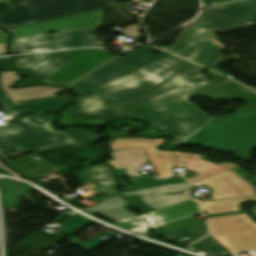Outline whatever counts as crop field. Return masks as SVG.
Instances as JSON below:
<instances>
[{
  "label": "crop field",
  "mask_w": 256,
  "mask_h": 256,
  "mask_svg": "<svg viewBox=\"0 0 256 256\" xmlns=\"http://www.w3.org/2000/svg\"><path fill=\"white\" fill-rule=\"evenodd\" d=\"M189 184L191 188H210L214 192L209 193L213 200L256 195V177L248 175L241 168Z\"/></svg>",
  "instance_id": "11"
},
{
  "label": "crop field",
  "mask_w": 256,
  "mask_h": 256,
  "mask_svg": "<svg viewBox=\"0 0 256 256\" xmlns=\"http://www.w3.org/2000/svg\"><path fill=\"white\" fill-rule=\"evenodd\" d=\"M176 256H187V255L177 253Z\"/></svg>",
  "instance_id": "42"
},
{
  "label": "crop field",
  "mask_w": 256,
  "mask_h": 256,
  "mask_svg": "<svg viewBox=\"0 0 256 256\" xmlns=\"http://www.w3.org/2000/svg\"><path fill=\"white\" fill-rule=\"evenodd\" d=\"M82 185L96 183L93 180L101 182L106 193L111 194L117 192L114 188L117 186L112 173L105 164L92 166L72 173Z\"/></svg>",
  "instance_id": "20"
},
{
  "label": "crop field",
  "mask_w": 256,
  "mask_h": 256,
  "mask_svg": "<svg viewBox=\"0 0 256 256\" xmlns=\"http://www.w3.org/2000/svg\"><path fill=\"white\" fill-rule=\"evenodd\" d=\"M72 102V99L27 104L15 106L14 103L2 105L7 115H19L27 113L59 112L63 106Z\"/></svg>",
  "instance_id": "21"
},
{
  "label": "crop field",
  "mask_w": 256,
  "mask_h": 256,
  "mask_svg": "<svg viewBox=\"0 0 256 256\" xmlns=\"http://www.w3.org/2000/svg\"><path fill=\"white\" fill-rule=\"evenodd\" d=\"M201 67L171 55L78 98L68 115L108 121L126 117L132 106L156 101L226 78L209 71L212 81L191 79Z\"/></svg>",
  "instance_id": "1"
},
{
  "label": "crop field",
  "mask_w": 256,
  "mask_h": 256,
  "mask_svg": "<svg viewBox=\"0 0 256 256\" xmlns=\"http://www.w3.org/2000/svg\"><path fill=\"white\" fill-rule=\"evenodd\" d=\"M244 201H256V196L221 201H210L201 204L204 211H207L208 214H212L239 210L241 203Z\"/></svg>",
  "instance_id": "23"
},
{
  "label": "crop field",
  "mask_w": 256,
  "mask_h": 256,
  "mask_svg": "<svg viewBox=\"0 0 256 256\" xmlns=\"http://www.w3.org/2000/svg\"><path fill=\"white\" fill-rule=\"evenodd\" d=\"M1 32V31H0Z\"/></svg>",
  "instance_id": "44"
},
{
  "label": "crop field",
  "mask_w": 256,
  "mask_h": 256,
  "mask_svg": "<svg viewBox=\"0 0 256 256\" xmlns=\"http://www.w3.org/2000/svg\"><path fill=\"white\" fill-rule=\"evenodd\" d=\"M251 213L256 218V206L252 207Z\"/></svg>",
  "instance_id": "39"
},
{
  "label": "crop field",
  "mask_w": 256,
  "mask_h": 256,
  "mask_svg": "<svg viewBox=\"0 0 256 256\" xmlns=\"http://www.w3.org/2000/svg\"><path fill=\"white\" fill-rule=\"evenodd\" d=\"M112 196H115L109 200H106L102 203L98 202L101 200H105L107 198H110ZM93 201L97 202L98 204L92 207L89 210H86L89 213L98 212L115 222L124 220L127 218L135 217L136 215L128 212L123 206H126V202L120 197L118 193L111 194V195H105L102 197L94 198Z\"/></svg>",
  "instance_id": "19"
},
{
  "label": "crop field",
  "mask_w": 256,
  "mask_h": 256,
  "mask_svg": "<svg viewBox=\"0 0 256 256\" xmlns=\"http://www.w3.org/2000/svg\"><path fill=\"white\" fill-rule=\"evenodd\" d=\"M2 8L0 7V10H1Z\"/></svg>",
  "instance_id": "43"
},
{
  "label": "crop field",
  "mask_w": 256,
  "mask_h": 256,
  "mask_svg": "<svg viewBox=\"0 0 256 256\" xmlns=\"http://www.w3.org/2000/svg\"><path fill=\"white\" fill-rule=\"evenodd\" d=\"M141 29L139 28V23L133 25V26H129L127 28H125L124 30L120 31L119 33L125 35V36H142L139 34V31Z\"/></svg>",
  "instance_id": "27"
},
{
  "label": "crop field",
  "mask_w": 256,
  "mask_h": 256,
  "mask_svg": "<svg viewBox=\"0 0 256 256\" xmlns=\"http://www.w3.org/2000/svg\"><path fill=\"white\" fill-rule=\"evenodd\" d=\"M10 102H12V101H11V99L9 98V96L0 98V104L10 103Z\"/></svg>",
  "instance_id": "34"
},
{
  "label": "crop field",
  "mask_w": 256,
  "mask_h": 256,
  "mask_svg": "<svg viewBox=\"0 0 256 256\" xmlns=\"http://www.w3.org/2000/svg\"><path fill=\"white\" fill-rule=\"evenodd\" d=\"M115 225L130 231H133L136 228L135 225L128 220L119 222Z\"/></svg>",
  "instance_id": "31"
},
{
  "label": "crop field",
  "mask_w": 256,
  "mask_h": 256,
  "mask_svg": "<svg viewBox=\"0 0 256 256\" xmlns=\"http://www.w3.org/2000/svg\"><path fill=\"white\" fill-rule=\"evenodd\" d=\"M256 18V0H238L232 3L212 4L176 43L163 49L174 52L197 40H213L215 33H229L247 26Z\"/></svg>",
  "instance_id": "5"
},
{
  "label": "crop field",
  "mask_w": 256,
  "mask_h": 256,
  "mask_svg": "<svg viewBox=\"0 0 256 256\" xmlns=\"http://www.w3.org/2000/svg\"><path fill=\"white\" fill-rule=\"evenodd\" d=\"M113 57L115 56L104 50L91 49L41 80L40 83L67 87Z\"/></svg>",
  "instance_id": "12"
},
{
  "label": "crop field",
  "mask_w": 256,
  "mask_h": 256,
  "mask_svg": "<svg viewBox=\"0 0 256 256\" xmlns=\"http://www.w3.org/2000/svg\"><path fill=\"white\" fill-rule=\"evenodd\" d=\"M96 29L57 32L11 41V52L48 51L66 48L101 46V40L96 38Z\"/></svg>",
  "instance_id": "9"
},
{
  "label": "crop field",
  "mask_w": 256,
  "mask_h": 256,
  "mask_svg": "<svg viewBox=\"0 0 256 256\" xmlns=\"http://www.w3.org/2000/svg\"><path fill=\"white\" fill-rule=\"evenodd\" d=\"M6 53V44H0V55Z\"/></svg>",
  "instance_id": "36"
},
{
  "label": "crop field",
  "mask_w": 256,
  "mask_h": 256,
  "mask_svg": "<svg viewBox=\"0 0 256 256\" xmlns=\"http://www.w3.org/2000/svg\"><path fill=\"white\" fill-rule=\"evenodd\" d=\"M130 221L134 222L137 226V229L134 232L146 236L147 223L143 222L139 217L131 219Z\"/></svg>",
  "instance_id": "28"
},
{
  "label": "crop field",
  "mask_w": 256,
  "mask_h": 256,
  "mask_svg": "<svg viewBox=\"0 0 256 256\" xmlns=\"http://www.w3.org/2000/svg\"><path fill=\"white\" fill-rule=\"evenodd\" d=\"M254 93L252 90L231 80H225L186 93L172 96L149 104L133 107L128 117L154 123L140 134H168L175 136L163 148H176L191 135L212 121L187 97L207 96L213 99H234Z\"/></svg>",
  "instance_id": "2"
},
{
  "label": "crop field",
  "mask_w": 256,
  "mask_h": 256,
  "mask_svg": "<svg viewBox=\"0 0 256 256\" xmlns=\"http://www.w3.org/2000/svg\"><path fill=\"white\" fill-rule=\"evenodd\" d=\"M107 235H110V234L108 232H106V233H104V234H102V235H100V236H98V237H96V238H94V239L84 243V244L80 243L79 241L75 240L72 237L67 239V240L75 243L74 244L75 246H77V247H79V248L89 252V251L95 249L96 247L100 246L102 244V242H103V240H101L100 238H102L104 236H107Z\"/></svg>",
  "instance_id": "26"
},
{
  "label": "crop field",
  "mask_w": 256,
  "mask_h": 256,
  "mask_svg": "<svg viewBox=\"0 0 256 256\" xmlns=\"http://www.w3.org/2000/svg\"><path fill=\"white\" fill-rule=\"evenodd\" d=\"M199 207L196 201L190 200L157 212H154L157 216L164 219L168 223L199 213Z\"/></svg>",
  "instance_id": "22"
},
{
  "label": "crop field",
  "mask_w": 256,
  "mask_h": 256,
  "mask_svg": "<svg viewBox=\"0 0 256 256\" xmlns=\"http://www.w3.org/2000/svg\"><path fill=\"white\" fill-rule=\"evenodd\" d=\"M54 115H31L17 124L0 127V159L3 153L20 150L24 153L46 148L93 145L100 137L93 132L65 130L55 132L50 124Z\"/></svg>",
  "instance_id": "3"
},
{
  "label": "crop field",
  "mask_w": 256,
  "mask_h": 256,
  "mask_svg": "<svg viewBox=\"0 0 256 256\" xmlns=\"http://www.w3.org/2000/svg\"><path fill=\"white\" fill-rule=\"evenodd\" d=\"M114 160L107 161L111 167L126 169L128 176L140 175L133 169L142 163L149 162L142 147L111 151Z\"/></svg>",
  "instance_id": "18"
},
{
  "label": "crop field",
  "mask_w": 256,
  "mask_h": 256,
  "mask_svg": "<svg viewBox=\"0 0 256 256\" xmlns=\"http://www.w3.org/2000/svg\"><path fill=\"white\" fill-rule=\"evenodd\" d=\"M90 221L86 220L85 218L81 217L78 214L71 216L70 218L66 219L65 221L59 223L60 226L65 227L61 233L65 235H71L78 231L80 228L88 224Z\"/></svg>",
  "instance_id": "24"
},
{
  "label": "crop field",
  "mask_w": 256,
  "mask_h": 256,
  "mask_svg": "<svg viewBox=\"0 0 256 256\" xmlns=\"http://www.w3.org/2000/svg\"><path fill=\"white\" fill-rule=\"evenodd\" d=\"M186 189V183H182L134 192H124L123 194L133 206L143 210V213H146L190 200L185 194L171 196L164 195V193L183 191Z\"/></svg>",
  "instance_id": "13"
},
{
  "label": "crop field",
  "mask_w": 256,
  "mask_h": 256,
  "mask_svg": "<svg viewBox=\"0 0 256 256\" xmlns=\"http://www.w3.org/2000/svg\"><path fill=\"white\" fill-rule=\"evenodd\" d=\"M153 216L154 218H152ZM144 217L151 222V225L154 228L167 224V222L163 221L162 219H160L159 217L155 216L152 213L144 215Z\"/></svg>",
  "instance_id": "29"
},
{
  "label": "crop field",
  "mask_w": 256,
  "mask_h": 256,
  "mask_svg": "<svg viewBox=\"0 0 256 256\" xmlns=\"http://www.w3.org/2000/svg\"><path fill=\"white\" fill-rule=\"evenodd\" d=\"M67 98H72V97H55V98H46V99H39V100H33V101L17 102V103H15V105L43 102V101H51V100H59V99H67Z\"/></svg>",
  "instance_id": "32"
},
{
  "label": "crop field",
  "mask_w": 256,
  "mask_h": 256,
  "mask_svg": "<svg viewBox=\"0 0 256 256\" xmlns=\"http://www.w3.org/2000/svg\"><path fill=\"white\" fill-rule=\"evenodd\" d=\"M219 1H231V0H203L204 4L211 3V2H219Z\"/></svg>",
  "instance_id": "37"
},
{
  "label": "crop field",
  "mask_w": 256,
  "mask_h": 256,
  "mask_svg": "<svg viewBox=\"0 0 256 256\" xmlns=\"http://www.w3.org/2000/svg\"><path fill=\"white\" fill-rule=\"evenodd\" d=\"M21 77L16 75V72H1V88L5 90L12 101L37 99L45 97H53L56 92L68 90L62 88H52L45 86H35L28 89H10L8 86Z\"/></svg>",
  "instance_id": "16"
},
{
  "label": "crop field",
  "mask_w": 256,
  "mask_h": 256,
  "mask_svg": "<svg viewBox=\"0 0 256 256\" xmlns=\"http://www.w3.org/2000/svg\"><path fill=\"white\" fill-rule=\"evenodd\" d=\"M8 35L9 34H7V33H0V43H7Z\"/></svg>",
  "instance_id": "33"
},
{
  "label": "crop field",
  "mask_w": 256,
  "mask_h": 256,
  "mask_svg": "<svg viewBox=\"0 0 256 256\" xmlns=\"http://www.w3.org/2000/svg\"><path fill=\"white\" fill-rule=\"evenodd\" d=\"M9 0H0V4L1 3H8Z\"/></svg>",
  "instance_id": "41"
},
{
  "label": "crop field",
  "mask_w": 256,
  "mask_h": 256,
  "mask_svg": "<svg viewBox=\"0 0 256 256\" xmlns=\"http://www.w3.org/2000/svg\"><path fill=\"white\" fill-rule=\"evenodd\" d=\"M66 215H68L67 213L62 214L60 217H58L54 222L58 223L61 219H63ZM67 217V216H66Z\"/></svg>",
  "instance_id": "38"
},
{
  "label": "crop field",
  "mask_w": 256,
  "mask_h": 256,
  "mask_svg": "<svg viewBox=\"0 0 256 256\" xmlns=\"http://www.w3.org/2000/svg\"><path fill=\"white\" fill-rule=\"evenodd\" d=\"M182 182H185L184 178L177 177V178L163 179V180L142 183L137 185L125 186L124 189L125 191H134V190H140V189H146V188H152V187H158V186H164V185H170V184H176V183H182Z\"/></svg>",
  "instance_id": "25"
},
{
  "label": "crop field",
  "mask_w": 256,
  "mask_h": 256,
  "mask_svg": "<svg viewBox=\"0 0 256 256\" xmlns=\"http://www.w3.org/2000/svg\"><path fill=\"white\" fill-rule=\"evenodd\" d=\"M207 220L211 236L233 255L256 247V224L247 214Z\"/></svg>",
  "instance_id": "8"
},
{
  "label": "crop field",
  "mask_w": 256,
  "mask_h": 256,
  "mask_svg": "<svg viewBox=\"0 0 256 256\" xmlns=\"http://www.w3.org/2000/svg\"><path fill=\"white\" fill-rule=\"evenodd\" d=\"M101 16L102 11L76 15L52 21L18 26L15 27L14 32L17 36H27L64 29L91 28L101 23Z\"/></svg>",
  "instance_id": "14"
},
{
  "label": "crop field",
  "mask_w": 256,
  "mask_h": 256,
  "mask_svg": "<svg viewBox=\"0 0 256 256\" xmlns=\"http://www.w3.org/2000/svg\"><path fill=\"white\" fill-rule=\"evenodd\" d=\"M123 0H10L8 10L0 14V27L41 22L66 16L105 10Z\"/></svg>",
  "instance_id": "6"
},
{
  "label": "crop field",
  "mask_w": 256,
  "mask_h": 256,
  "mask_svg": "<svg viewBox=\"0 0 256 256\" xmlns=\"http://www.w3.org/2000/svg\"><path fill=\"white\" fill-rule=\"evenodd\" d=\"M133 184L158 180L154 175L129 177Z\"/></svg>",
  "instance_id": "30"
},
{
  "label": "crop field",
  "mask_w": 256,
  "mask_h": 256,
  "mask_svg": "<svg viewBox=\"0 0 256 256\" xmlns=\"http://www.w3.org/2000/svg\"><path fill=\"white\" fill-rule=\"evenodd\" d=\"M89 49H80L47 54H35L16 58L4 69H21L20 74H26L30 78L19 82L16 86H27L38 83L39 80L61 68L80 54Z\"/></svg>",
  "instance_id": "10"
},
{
  "label": "crop field",
  "mask_w": 256,
  "mask_h": 256,
  "mask_svg": "<svg viewBox=\"0 0 256 256\" xmlns=\"http://www.w3.org/2000/svg\"><path fill=\"white\" fill-rule=\"evenodd\" d=\"M250 254H252L253 256H256V250H250L248 251Z\"/></svg>",
  "instance_id": "40"
},
{
  "label": "crop field",
  "mask_w": 256,
  "mask_h": 256,
  "mask_svg": "<svg viewBox=\"0 0 256 256\" xmlns=\"http://www.w3.org/2000/svg\"><path fill=\"white\" fill-rule=\"evenodd\" d=\"M173 155L175 166L185 167L189 171L195 173L187 177L189 182L239 168L236 165L228 163L216 166L214 164L203 161L202 157L199 155H190L180 152H173ZM183 162H187V165H183Z\"/></svg>",
  "instance_id": "15"
},
{
  "label": "crop field",
  "mask_w": 256,
  "mask_h": 256,
  "mask_svg": "<svg viewBox=\"0 0 256 256\" xmlns=\"http://www.w3.org/2000/svg\"><path fill=\"white\" fill-rule=\"evenodd\" d=\"M9 59H0V66L2 65V64H4L5 62H7ZM7 93L6 92H4L1 88H0V96H2V95H6Z\"/></svg>",
  "instance_id": "35"
},
{
  "label": "crop field",
  "mask_w": 256,
  "mask_h": 256,
  "mask_svg": "<svg viewBox=\"0 0 256 256\" xmlns=\"http://www.w3.org/2000/svg\"><path fill=\"white\" fill-rule=\"evenodd\" d=\"M151 52H157L159 55ZM168 55L170 54L155 47H142L122 58L115 57L116 59L92 71L70 87L83 96L106 83L148 66Z\"/></svg>",
  "instance_id": "7"
},
{
  "label": "crop field",
  "mask_w": 256,
  "mask_h": 256,
  "mask_svg": "<svg viewBox=\"0 0 256 256\" xmlns=\"http://www.w3.org/2000/svg\"><path fill=\"white\" fill-rule=\"evenodd\" d=\"M182 144L228 150L249 160L256 147V109L218 117Z\"/></svg>",
  "instance_id": "4"
},
{
  "label": "crop field",
  "mask_w": 256,
  "mask_h": 256,
  "mask_svg": "<svg viewBox=\"0 0 256 256\" xmlns=\"http://www.w3.org/2000/svg\"><path fill=\"white\" fill-rule=\"evenodd\" d=\"M175 54L209 67L219 63L222 49L220 46L213 45L210 42H200Z\"/></svg>",
  "instance_id": "17"
}]
</instances>
